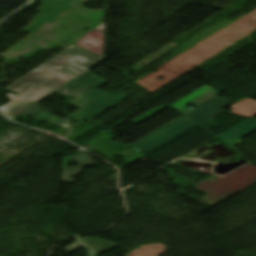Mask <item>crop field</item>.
I'll return each mask as SVG.
<instances>
[{
	"label": "crop field",
	"instance_id": "8a807250",
	"mask_svg": "<svg viewBox=\"0 0 256 256\" xmlns=\"http://www.w3.org/2000/svg\"><path fill=\"white\" fill-rule=\"evenodd\" d=\"M86 37H90L87 39ZM75 44L93 52L103 58L104 33L93 30ZM69 58L74 61L68 60ZM75 45H70L42 65L24 75L14 83L7 86V90L19 93V97L12 103L1 108V111L10 119L25 112L44 98L54 93L57 89L81 75L101 59ZM65 61L60 64L57 61ZM60 65L61 69L57 68ZM56 73H52V72ZM32 97L31 99L26 98Z\"/></svg>",
	"mask_w": 256,
	"mask_h": 256
},
{
	"label": "crop field",
	"instance_id": "ac0d7876",
	"mask_svg": "<svg viewBox=\"0 0 256 256\" xmlns=\"http://www.w3.org/2000/svg\"><path fill=\"white\" fill-rule=\"evenodd\" d=\"M105 83L107 82L87 71L57 90V92L68 96L78 97L68 104L82 107L104 93L96 89Z\"/></svg>",
	"mask_w": 256,
	"mask_h": 256
},
{
	"label": "crop field",
	"instance_id": "34b2d1b8",
	"mask_svg": "<svg viewBox=\"0 0 256 256\" xmlns=\"http://www.w3.org/2000/svg\"><path fill=\"white\" fill-rule=\"evenodd\" d=\"M195 127L197 126L194 123L182 117L130 146V148L133 150L138 149L149 154Z\"/></svg>",
	"mask_w": 256,
	"mask_h": 256
},
{
	"label": "crop field",
	"instance_id": "412701ff",
	"mask_svg": "<svg viewBox=\"0 0 256 256\" xmlns=\"http://www.w3.org/2000/svg\"><path fill=\"white\" fill-rule=\"evenodd\" d=\"M128 97L123 93L117 96L107 93L88 107L78 111L71 118L81 122L91 121Z\"/></svg>",
	"mask_w": 256,
	"mask_h": 256
},
{
	"label": "crop field",
	"instance_id": "f4fd0767",
	"mask_svg": "<svg viewBox=\"0 0 256 256\" xmlns=\"http://www.w3.org/2000/svg\"><path fill=\"white\" fill-rule=\"evenodd\" d=\"M230 104L231 103L216 97L185 116L199 125L224 112L225 110L223 108Z\"/></svg>",
	"mask_w": 256,
	"mask_h": 256
},
{
	"label": "crop field",
	"instance_id": "dd49c442",
	"mask_svg": "<svg viewBox=\"0 0 256 256\" xmlns=\"http://www.w3.org/2000/svg\"><path fill=\"white\" fill-rule=\"evenodd\" d=\"M256 130V118H249L222 135L216 137L224 144L234 149V145L241 142V138Z\"/></svg>",
	"mask_w": 256,
	"mask_h": 256
},
{
	"label": "crop field",
	"instance_id": "e52e79f7",
	"mask_svg": "<svg viewBox=\"0 0 256 256\" xmlns=\"http://www.w3.org/2000/svg\"><path fill=\"white\" fill-rule=\"evenodd\" d=\"M219 93H221V92L205 85L170 106H172L173 108H175L176 110H178L179 112H181L182 114L185 115L188 112L192 111V110L184 107L185 105L192 103V104L198 106ZM182 107H184V108H182ZM180 108H182V109H180Z\"/></svg>",
	"mask_w": 256,
	"mask_h": 256
},
{
	"label": "crop field",
	"instance_id": "d8731c3e",
	"mask_svg": "<svg viewBox=\"0 0 256 256\" xmlns=\"http://www.w3.org/2000/svg\"><path fill=\"white\" fill-rule=\"evenodd\" d=\"M82 240L94 249L95 256H99V254L102 252L118 247L117 243L108 242L91 237H87Z\"/></svg>",
	"mask_w": 256,
	"mask_h": 256
},
{
	"label": "crop field",
	"instance_id": "5a996713",
	"mask_svg": "<svg viewBox=\"0 0 256 256\" xmlns=\"http://www.w3.org/2000/svg\"><path fill=\"white\" fill-rule=\"evenodd\" d=\"M83 167L64 168L62 182L72 183L74 182L72 177L82 173Z\"/></svg>",
	"mask_w": 256,
	"mask_h": 256
},
{
	"label": "crop field",
	"instance_id": "3316defc",
	"mask_svg": "<svg viewBox=\"0 0 256 256\" xmlns=\"http://www.w3.org/2000/svg\"><path fill=\"white\" fill-rule=\"evenodd\" d=\"M75 239L78 242L65 248L64 250L69 252V251L75 250L82 246L87 251V256H94V251L88 245H86L84 242H82L78 237H75Z\"/></svg>",
	"mask_w": 256,
	"mask_h": 256
},
{
	"label": "crop field",
	"instance_id": "28ad6ade",
	"mask_svg": "<svg viewBox=\"0 0 256 256\" xmlns=\"http://www.w3.org/2000/svg\"><path fill=\"white\" fill-rule=\"evenodd\" d=\"M73 157H74V159H76V162H78V166L92 165V162H91L90 158L85 153H82L80 155H76V156H73ZM74 159H72V160H74ZM69 161H71V160H69ZM67 163H68V161L64 162V167H68Z\"/></svg>",
	"mask_w": 256,
	"mask_h": 256
},
{
	"label": "crop field",
	"instance_id": "d1516ede",
	"mask_svg": "<svg viewBox=\"0 0 256 256\" xmlns=\"http://www.w3.org/2000/svg\"><path fill=\"white\" fill-rule=\"evenodd\" d=\"M31 117H35V118H39L42 120H47L49 118H52L56 121H61V119L55 117L54 115L50 114L49 112L45 111V110H40L37 113H35L34 115H32Z\"/></svg>",
	"mask_w": 256,
	"mask_h": 256
},
{
	"label": "crop field",
	"instance_id": "22f410ed",
	"mask_svg": "<svg viewBox=\"0 0 256 256\" xmlns=\"http://www.w3.org/2000/svg\"><path fill=\"white\" fill-rule=\"evenodd\" d=\"M41 108L34 106L31 109H29L28 111H26L25 113H23V115H27L30 116L32 114H34L35 112H37L38 110H40Z\"/></svg>",
	"mask_w": 256,
	"mask_h": 256
}]
</instances>
